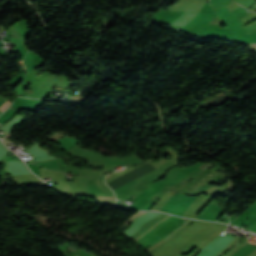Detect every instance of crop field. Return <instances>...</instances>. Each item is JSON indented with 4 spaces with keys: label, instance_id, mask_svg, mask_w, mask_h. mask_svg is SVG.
Returning a JSON list of instances; mask_svg holds the SVG:
<instances>
[{
    "label": "crop field",
    "instance_id": "obj_1",
    "mask_svg": "<svg viewBox=\"0 0 256 256\" xmlns=\"http://www.w3.org/2000/svg\"><path fill=\"white\" fill-rule=\"evenodd\" d=\"M168 216V214H161L159 216H157L156 218L148 221V223L144 224L142 226V228L137 231L136 233H134L132 236H130V238H132L133 240L138 239L140 236H142L144 233H146L148 230H150L152 227H154L156 224H158L160 221H162L164 218H166ZM171 216V215H170ZM168 218V217H167ZM166 218V219H167ZM164 221V220H163ZM162 221V222H163ZM160 224V223H159ZM156 227V226H155Z\"/></svg>",
    "mask_w": 256,
    "mask_h": 256
},
{
    "label": "crop field",
    "instance_id": "obj_2",
    "mask_svg": "<svg viewBox=\"0 0 256 256\" xmlns=\"http://www.w3.org/2000/svg\"><path fill=\"white\" fill-rule=\"evenodd\" d=\"M247 34L256 33V24L244 27Z\"/></svg>",
    "mask_w": 256,
    "mask_h": 256
},
{
    "label": "crop field",
    "instance_id": "obj_3",
    "mask_svg": "<svg viewBox=\"0 0 256 256\" xmlns=\"http://www.w3.org/2000/svg\"><path fill=\"white\" fill-rule=\"evenodd\" d=\"M145 212H137L135 214H133L132 216L129 217L128 221L125 223V225L129 224L130 222H132L136 217L142 215Z\"/></svg>",
    "mask_w": 256,
    "mask_h": 256
},
{
    "label": "crop field",
    "instance_id": "obj_4",
    "mask_svg": "<svg viewBox=\"0 0 256 256\" xmlns=\"http://www.w3.org/2000/svg\"><path fill=\"white\" fill-rule=\"evenodd\" d=\"M105 164H107V161H106V160H104V161H102V162H99V163H96V164H94L93 166L98 167V166L105 165Z\"/></svg>",
    "mask_w": 256,
    "mask_h": 256
},
{
    "label": "crop field",
    "instance_id": "obj_5",
    "mask_svg": "<svg viewBox=\"0 0 256 256\" xmlns=\"http://www.w3.org/2000/svg\"><path fill=\"white\" fill-rule=\"evenodd\" d=\"M10 103L8 101H6L1 107L0 109L3 111Z\"/></svg>",
    "mask_w": 256,
    "mask_h": 256
}]
</instances>
